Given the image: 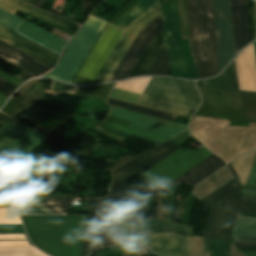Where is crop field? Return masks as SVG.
<instances>
[{
  "label": "crop field",
  "mask_w": 256,
  "mask_h": 256,
  "mask_svg": "<svg viewBox=\"0 0 256 256\" xmlns=\"http://www.w3.org/2000/svg\"><path fill=\"white\" fill-rule=\"evenodd\" d=\"M210 119L195 116L190 123L191 136L227 163L256 148V127L228 126L229 121Z\"/></svg>",
  "instance_id": "crop-field-1"
},
{
  "label": "crop field",
  "mask_w": 256,
  "mask_h": 256,
  "mask_svg": "<svg viewBox=\"0 0 256 256\" xmlns=\"http://www.w3.org/2000/svg\"><path fill=\"white\" fill-rule=\"evenodd\" d=\"M190 21L191 54L199 79L219 72L216 61L215 20L210 0H185Z\"/></svg>",
  "instance_id": "crop-field-2"
},
{
  "label": "crop field",
  "mask_w": 256,
  "mask_h": 256,
  "mask_svg": "<svg viewBox=\"0 0 256 256\" xmlns=\"http://www.w3.org/2000/svg\"><path fill=\"white\" fill-rule=\"evenodd\" d=\"M136 104L190 117L200 96L192 81L151 77Z\"/></svg>",
  "instance_id": "crop-field-3"
},
{
  "label": "crop field",
  "mask_w": 256,
  "mask_h": 256,
  "mask_svg": "<svg viewBox=\"0 0 256 256\" xmlns=\"http://www.w3.org/2000/svg\"><path fill=\"white\" fill-rule=\"evenodd\" d=\"M241 195L234 178L201 200L211 206L202 236L229 240Z\"/></svg>",
  "instance_id": "crop-field-4"
},
{
  "label": "crop field",
  "mask_w": 256,
  "mask_h": 256,
  "mask_svg": "<svg viewBox=\"0 0 256 256\" xmlns=\"http://www.w3.org/2000/svg\"><path fill=\"white\" fill-rule=\"evenodd\" d=\"M164 41L174 76L198 79L190 54L189 40L180 39L179 18L176 0L160 6Z\"/></svg>",
  "instance_id": "crop-field-5"
},
{
  "label": "crop field",
  "mask_w": 256,
  "mask_h": 256,
  "mask_svg": "<svg viewBox=\"0 0 256 256\" xmlns=\"http://www.w3.org/2000/svg\"><path fill=\"white\" fill-rule=\"evenodd\" d=\"M105 25L106 22L90 16L86 24L72 37L58 65L43 77L70 83Z\"/></svg>",
  "instance_id": "crop-field-6"
},
{
  "label": "crop field",
  "mask_w": 256,
  "mask_h": 256,
  "mask_svg": "<svg viewBox=\"0 0 256 256\" xmlns=\"http://www.w3.org/2000/svg\"><path fill=\"white\" fill-rule=\"evenodd\" d=\"M211 154L205 149H179L143 174L146 179L162 188Z\"/></svg>",
  "instance_id": "crop-field-7"
},
{
  "label": "crop field",
  "mask_w": 256,
  "mask_h": 256,
  "mask_svg": "<svg viewBox=\"0 0 256 256\" xmlns=\"http://www.w3.org/2000/svg\"><path fill=\"white\" fill-rule=\"evenodd\" d=\"M196 85L203 98L202 106L242 109V121L256 122V92L209 87L205 80Z\"/></svg>",
  "instance_id": "crop-field-8"
},
{
  "label": "crop field",
  "mask_w": 256,
  "mask_h": 256,
  "mask_svg": "<svg viewBox=\"0 0 256 256\" xmlns=\"http://www.w3.org/2000/svg\"><path fill=\"white\" fill-rule=\"evenodd\" d=\"M160 15L159 5L156 3L131 26L124 30L102 68L93 80L92 84L109 81L118 64L127 52L136 35ZM157 19V18H156Z\"/></svg>",
  "instance_id": "crop-field-9"
},
{
  "label": "crop field",
  "mask_w": 256,
  "mask_h": 256,
  "mask_svg": "<svg viewBox=\"0 0 256 256\" xmlns=\"http://www.w3.org/2000/svg\"><path fill=\"white\" fill-rule=\"evenodd\" d=\"M123 203L98 201L88 254L114 245Z\"/></svg>",
  "instance_id": "crop-field-10"
},
{
  "label": "crop field",
  "mask_w": 256,
  "mask_h": 256,
  "mask_svg": "<svg viewBox=\"0 0 256 256\" xmlns=\"http://www.w3.org/2000/svg\"><path fill=\"white\" fill-rule=\"evenodd\" d=\"M216 20V46L219 70L234 57L233 27L229 0H211Z\"/></svg>",
  "instance_id": "crop-field-11"
},
{
  "label": "crop field",
  "mask_w": 256,
  "mask_h": 256,
  "mask_svg": "<svg viewBox=\"0 0 256 256\" xmlns=\"http://www.w3.org/2000/svg\"><path fill=\"white\" fill-rule=\"evenodd\" d=\"M191 240L192 237L190 236L178 235L165 231H141L135 233L133 243L150 246L151 249L178 256H188ZM155 250H151V252L161 256H174Z\"/></svg>",
  "instance_id": "crop-field-12"
},
{
  "label": "crop field",
  "mask_w": 256,
  "mask_h": 256,
  "mask_svg": "<svg viewBox=\"0 0 256 256\" xmlns=\"http://www.w3.org/2000/svg\"><path fill=\"white\" fill-rule=\"evenodd\" d=\"M177 148L170 142L166 141L157 147L135 157L134 159L126 162L118 169L112 172L113 181L119 183H127L132 178L140 175L174 151Z\"/></svg>",
  "instance_id": "crop-field-13"
},
{
  "label": "crop field",
  "mask_w": 256,
  "mask_h": 256,
  "mask_svg": "<svg viewBox=\"0 0 256 256\" xmlns=\"http://www.w3.org/2000/svg\"><path fill=\"white\" fill-rule=\"evenodd\" d=\"M46 170L48 169L30 152L0 171V173L14 181L23 192H26L39 184V175Z\"/></svg>",
  "instance_id": "crop-field-14"
},
{
  "label": "crop field",
  "mask_w": 256,
  "mask_h": 256,
  "mask_svg": "<svg viewBox=\"0 0 256 256\" xmlns=\"http://www.w3.org/2000/svg\"><path fill=\"white\" fill-rule=\"evenodd\" d=\"M162 30L160 16L140 32L123 60L119 64L110 81L127 78L136 61L140 57L149 40Z\"/></svg>",
  "instance_id": "crop-field-15"
},
{
  "label": "crop field",
  "mask_w": 256,
  "mask_h": 256,
  "mask_svg": "<svg viewBox=\"0 0 256 256\" xmlns=\"http://www.w3.org/2000/svg\"><path fill=\"white\" fill-rule=\"evenodd\" d=\"M245 4H246V10H247V15L249 20L251 37L253 40V0H245ZM245 4H244V0H230L232 17H233L235 49L239 48L245 42L251 40L248 21H247V15L245 10ZM247 43H245L239 49L235 50V55Z\"/></svg>",
  "instance_id": "crop-field-16"
},
{
  "label": "crop field",
  "mask_w": 256,
  "mask_h": 256,
  "mask_svg": "<svg viewBox=\"0 0 256 256\" xmlns=\"http://www.w3.org/2000/svg\"><path fill=\"white\" fill-rule=\"evenodd\" d=\"M0 40L12 45L42 63L53 67L59 55L28 40L27 38L0 26Z\"/></svg>",
  "instance_id": "crop-field-17"
},
{
  "label": "crop field",
  "mask_w": 256,
  "mask_h": 256,
  "mask_svg": "<svg viewBox=\"0 0 256 256\" xmlns=\"http://www.w3.org/2000/svg\"><path fill=\"white\" fill-rule=\"evenodd\" d=\"M46 140L44 135L32 129L0 149V170Z\"/></svg>",
  "instance_id": "crop-field-18"
},
{
  "label": "crop field",
  "mask_w": 256,
  "mask_h": 256,
  "mask_svg": "<svg viewBox=\"0 0 256 256\" xmlns=\"http://www.w3.org/2000/svg\"><path fill=\"white\" fill-rule=\"evenodd\" d=\"M109 115L128 121V122H132V123H136L146 127L168 132L174 135L187 129L186 125H182V124H178V123H174V122H170V121H166V120H162V119H158V118H154V117H150V116H146V115H142V114H138V113H134V112H130V111L114 108V107L112 108Z\"/></svg>",
  "instance_id": "crop-field-19"
},
{
  "label": "crop field",
  "mask_w": 256,
  "mask_h": 256,
  "mask_svg": "<svg viewBox=\"0 0 256 256\" xmlns=\"http://www.w3.org/2000/svg\"><path fill=\"white\" fill-rule=\"evenodd\" d=\"M0 58L34 76L42 75L51 70V68L41 64L40 62L1 41Z\"/></svg>",
  "instance_id": "crop-field-20"
},
{
  "label": "crop field",
  "mask_w": 256,
  "mask_h": 256,
  "mask_svg": "<svg viewBox=\"0 0 256 256\" xmlns=\"http://www.w3.org/2000/svg\"><path fill=\"white\" fill-rule=\"evenodd\" d=\"M15 32L29 38L30 40L44 46L45 48L59 55L64 45L67 43L27 21Z\"/></svg>",
  "instance_id": "crop-field-21"
},
{
  "label": "crop field",
  "mask_w": 256,
  "mask_h": 256,
  "mask_svg": "<svg viewBox=\"0 0 256 256\" xmlns=\"http://www.w3.org/2000/svg\"><path fill=\"white\" fill-rule=\"evenodd\" d=\"M0 8L3 10H6L8 12H11L13 14H14L15 10L18 9L20 11H23V12L31 14L33 16L39 17L41 19L62 25L64 27H67L74 31H76L78 29L76 23H74V22H71L69 20L55 16L53 14L47 13L45 11L39 10L35 7L27 5L18 0H0Z\"/></svg>",
  "instance_id": "crop-field-22"
},
{
  "label": "crop field",
  "mask_w": 256,
  "mask_h": 256,
  "mask_svg": "<svg viewBox=\"0 0 256 256\" xmlns=\"http://www.w3.org/2000/svg\"><path fill=\"white\" fill-rule=\"evenodd\" d=\"M223 165L225 164L219 158L212 155L203 162H201L200 164H198L197 166H195L194 168H192L191 170H189L188 172L186 171L187 173H183L184 175H180L181 177H177L178 179H174L175 181H171L172 183L168 184L172 185L175 183L185 181L191 185H194L203 178H205L206 176H208L209 174H211L212 172H214L215 170L222 167Z\"/></svg>",
  "instance_id": "crop-field-23"
},
{
  "label": "crop field",
  "mask_w": 256,
  "mask_h": 256,
  "mask_svg": "<svg viewBox=\"0 0 256 256\" xmlns=\"http://www.w3.org/2000/svg\"><path fill=\"white\" fill-rule=\"evenodd\" d=\"M163 45L164 43L162 41V35L160 32L150 40L149 44L145 48L136 65L134 66L133 70L129 74L128 78L146 75L147 71L151 67Z\"/></svg>",
  "instance_id": "crop-field-24"
},
{
  "label": "crop field",
  "mask_w": 256,
  "mask_h": 256,
  "mask_svg": "<svg viewBox=\"0 0 256 256\" xmlns=\"http://www.w3.org/2000/svg\"><path fill=\"white\" fill-rule=\"evenodd\" d=\"M233 177L230 169L225 166L220 169L218 172L204 180L202 183H198L199 185L193 190L192 194L195 195L199 200L219 188Z\"/></svg>",
  "instance_id": "crop-field-25"
},
{
  "label": "crop field",
  "mask_w": 256,
  "mask_h": 256,
  "mask_svg": "<svg viewBox=\"0 0 256 256\" xmlns=\"http://www.w3.org/2000/svg\"><path fill=\"white\" fill-rule=\"evenodd\" d=\"M256 155V150L245 155L237 157L231 164V167L236 174L240 184H245L252 168L253 160Z\"/></svg>",
  "instance_id": "crop-field-26"
},
{
  "label": "crop field",
  "mask_w": 256,
  "mask_h": 256,
  "mask_svg": "<svg viewBox=\"0 0 256 256\" xmlns=\"http://www.w3.org/2000/svg\"><path fill=\"white\" fill-rule=\"evenodd\" d=\"M31 127L26 126L18 121L10 120L0 127V148L8 144Z\"/></svg>",
  "instance_id": "crop-field-27"
},
{
  "label": "crop field",
  "mask_w": 256,
  "mask_h": 256,
  "mask_svg": "<svg viewBox=\"0 0 256 256\" xmlns=\"http://www.w3.org/2000/svg\"><path fill=\"white\" fill-rule=\"evenodd\" d=\"M73 199H45L43 202L57 214H64V204ZM38 203L23 214H56L42 203Z\"/></svg>",
  "instance_id": "crop-field-28"
},
{
  "label": "crop field",
  "mask_w": 256,
  "mask_h": 256,
  "mask_svg": "<svg viewBox=\"0 0 256 256\" xmlns=\"http://www.w3.org/2000/svg\"><path fill=\"white\" fill-rule=\"evenodd\" d=\"M142 229H165L187 235L193 234L194 228L172 224L166 221H138L136 230Z\"/></svg>",
  "instance_id": "crop-field-29"
},
{
  "label": "crop field",
  "mask_w": 256,
  "mask_h": 256,
  "mask_svg": "<svg viewBox=\"0 0 256 256\" xmlns=\"http://www.w3.org/2000/svg\"><path fill=\"white\" fill-rule=\"evenodd\" d=\"M206 84L238 90L234 61L218 77L206 80Z\"/></svg>",
  "instance_id": "crop-field-30"
},
{
  "label": "crop field",
  "mask_w": 256,
  "mask_h": 256,
  "mask_svg": "<svg viewBox=\"0 0 256 256\" xmlns=\"http://www.w3.org/2000/svg\"><path fill=\"white\" fill-rule=\"evenodd\" d=\"M106 101L108 102V104H110L112 106H115V107L131 110V111H135V112H139V113H143V114H146V115H150V116H154V117H158V118H162V119H166V120H170V121H172L173 118L175 117L174 115H170V114H166V113H162V112L142 108V107H139V106L124 103V102L117 101V100L110 99V98H108Z\"/></svg>",
  "instance_id": "crop-field-31"
},
{
  "label": "crop field",
  "mask_w": 256,
  "mask_h": 256,
  "mask_svg": "<svg viewBox=\"0 0 256 256\" xmlns=\"http://www.w3.org/2000/svg\"><path fill=\"white\" fill-rule=\"evenodd\" d=\"M145 191L113 182L108 198H134L144 195Z\"/></svg>",
  "instance_id": "crop-field-32"
},
{
  "label": "crop field",
  "mask_w": 256,
  "mask_h": 256,
  "mask_svg": "<svg viewBox=\"0 0 256 256\" xmlns=\"http://www.w3.org/2000/svg\"><path fill=\"white\" fill-rule=\"evenodd\" d=\"M234 235H256V218L237 217L233 227Z\"/></svg>",
  "instance_id": "crop-field-33"
},
{
  "label": "crop field",
  "mask_w": 256,
  "mask_h": 256,
  "mask_svg": "<svg viewBox=\"0 0 256 256\" xmlns=\"http://www.w3.org/2000/svg\"><path fill=\"white\" fill-rule=\"evenodd\" d=\"M0 256H47L34 247H0Z\"/></svg>",
  "instance_id": "crop-field-34"
},
{
  "label": "crop field",
  "mask_w": 256,
  "mask_h": 256,
  "mask_svg": "<svg viewBox=\"0 0 256 256\" xmlns=\"http://www.w3.org/2000/svg\"><path fill=\"white\" fill-rule=\"evenodd\" d=\"M169 68L170 66L164 46L147 75H166Z\"/></svg>",
  "instance_id": "crop-field-35"
},
{
  "label": "crop field",
  "mask_w": 256,
  "mask_h": 256,
  "mask_svg": "<svg viewBox=\"0 0 256 256\" xmlns=\"http://www.w3.org/2000/svg\"><path fill=\"white\" fill-rule=\"evenodd\" d=\"M135 223L136 221L130 222L121 220L116 245L123 243H132Z\"/></svg>",
  "instance_id": "crop-field-36"
},
{
  "label": "crop field",
  "mask_w": 256,
  "mask_h": 256,
  "mask_svg": "<svg viewBox=\"0 0 256 256\" xmlns=\"http://www.w3.org/2000/svg\"><path fill=\"white\" fill-rule=\"evenodd\" d=\"M47 197L35 187L24 193L22 203L20 205V212L23 213L42 199Z\"/></svg>",
  "instance_id": "crop-field-37"
},
{
  "label": "crop field",
  "mask_w": 256,
  "mask_h": 256,
  "mask_svg": "<svg viewBox=\"0 0 256 256\" xmlns=\"http://www.w3.org/2000/svg\"><path fill=\"white\" fill-rule=\"evenodd\" d=\"M157 1L161 5L170 0H157ZM177 2H178V10H179V18H180L181 37L189 39V21L186 13L184 0H177Z\"/></svg>",
  "instance_id": "crop-field-38"
},
{
  "label": "crop field",
  "mask_w": 256,
  "mask_h": 256,
  "mask_svg": "<svg viewBox=\"0 0 256 256\" xmlns=\"http://www.w3.org/2000/svg\"><path fill=\"white\" fill-rule=\"evenodd\" d=\"M98 199H92L91 209L80 256H86Z\"/></svg>",
  "instance_id": "crop-field-39"
},
{
  "label": "crop field",
  "mask_w": 256,
  "mask_h": 256,
  "mask_svg": "<svg viewBox=\"0 0 256 256\" xmlns=\"http://www.w3.org/2000/svg\"><path fill=\"white\" fill-rule=\"evenodd\" d=\"M23 21L24 19L18 16L0 10V25L4 27L14 30L19 27Z\"/></svg>",
  "instance_id": "crop-field-40"
},
{
  "label": "crop field",
  "mask_w": 256,
  "mask_h": 256,
  "mask_svg": "<svg viewBox=\"0 0 256 256\" xmlns=\"http://www.w3.org/2000/svg\"><path fill=\"white\" fill-rule=\"evenodd\" d=\"M0 224H21L17 208H0Z\"/></svg>",
  "instance_id": "crop-field-41"
},
{
  "label": "crop field",
  "mask_w": 256,
  "mask_h": 256,
  "mask_svg": "<svg viewBox=\"0 0 256 256\" xmlns=\"http://www.w3.org/2000/svg\"><path fill=\"white\" fill-rule=\"evenodd\" d=\"M101 125H105V126H109V127H112V128L119 129V130L127 131V132H130V133H133V134H137V135H140V136H143V137H146V138H150V139H154V140H157V141H161V142H164V141L167 140V139H164V138L152 135V134H148V133H145V132H142V131H138V130H135V129H132V128H128V127H125V126H122V125H118V124H114V123H110V122H106V121L101 123Z\"/></svg>",
  "instance_id": "crop-field-42"
},
{
  "label": "crop field",
  "mask_w": 256,
  "mask_h": 256,
  "mask_svg": "<svg viewBox=\"0 0 256 256\" xmlns=\"http://www.w3.org/2000/svg\"><path fill=\"white\" fill-rule=\"evenodd\" d=\"M109 97L135 104L136 100L139 97V94L113 88Z\"/></svg>",
  "instance_id": "crop-field-43"
},
{
  "label": "crop field",
  "mask_w": 256,
  "mask_h": 256,
  "mask_svg": "<svg viewBox=\"0 0 256 256\" xmlns=\"http://www.w3.org/2000/svg\"><path fill=\"white\" fill-rule=\"evenodd\" d=\"M239 211L256 213V199L242 198Z\"/></svg>",
  "instance_id": "crop-field-44"
},
{
  "label": "crop field",
  "mask_w": 256,
  "mask_h": 256,
  "mask_svg": "<svg viewBox=\"0 0 256 256\" xmlns=\"http://www.w3.org/2000/svg\"><path fill=\"white\" fill-rule=\"evenodd\" d=\"M51 89L61 93H69V94H75V92L78 90L77 87L61 84L54 81L52 83Z\"/></svg>",
  "instance_id": "crop-field-45"
},
{
  "label": "crop field",
  "mask_w": 256,
  "mask_h": 256,
  "mask_svg": "<svg viewBox=\"0 0 256 256\" xmlns=\"http://www.w3.org/2000/svg\"><path fill=\"white\" fill-rule=\"evenodd\" d=\"M227 241L215 240L212 256H227L224 254Z\"/></svg>",
  "instance_id": "crop-field-46"
},
{
  "label": "crop field",
  "mask_w": 256,
  "mask_h": 256,
  "mask_svg": "<svg viewBox=\"0 0 256 256\" xmlns=\"http://www.w3.org/2000/svg\"><path fill=\"white\" fill-rule=\"evenodd\" d=\"M0 233H25L22 225H0Z\"/></svg>",
  "instance_id": "crop-field-47"
},
{
  "label": "crop field",
  "mask_w": 256,
  "mask_h": 256,
  "mask_svg": "<svg viewBox=\"0 0 256 256\" xmlns=\"http://www.w3.org/2000/svg\"><path fill=\"white\" fill-rule=\"evenodd\" d=\"M213 242L214 240L212 239H203L200 256H211Z\"/></svg>",
  "instance_id": "crop-field-48"
},
{
  "label": "crop field",
  "mask_w": 256,
  "mask_h": 256,
  "mask_svg": "<svg viewBox=\"0 0 256 256\" xmlns=\"http://www.w3.org/2000/svg\"><path fill=\"white\" fill-rule=\"evenodd\" d=\"M17 88V86L0 78V93L9 97V95Z\"/></svg>",
  "instance_id": "crop-field-49"
},
{
  "label": "crop field",
  "mask_w": 256,
  "mask_h": 256,
  "mask_svg": "<svg viewBox=\"0 0 256 256\" xmlns=\"http://www.w3.org/2000/svg\"><path fill=\"white\" fill-rule=\"evenodd\" d=\"M0 191H19L10 181L0 176Z\"/></svg>",
  "instance_id": "crop-field-50"
},
{
  "label": "crop field",
  "mask_w": 256,
  "mask_h": 256,
  "mask_svg": "<svg viewBox=\"0 0 256 256\" xmlns=\"http://www.w3.org/2000/svg\"><path fill=\"white\" fill-rule=\"evenodd\" d=\"M0 77L18 85V86L21 85L24 82V81L16 78L15 76H13V75H11V74H9V73L1 70V69H0Z\"/></svg>",
  "instance_id": "crop-field-51"
},
{
  "label": "crop field",
  "mask_w": 256,
  "mask_h": 256,
  "mask_svg": "<svg viewBox=\"0 0 256 256\" xmlns=\"http://www.w3.org/2000/svg\"><path fill=\"white\" fill-rule=\"evenodd\" d=\"M129 127L137 128V129L144 130V131H148V132L155 133V134L165 136V137H168V138L173 136V135H170V134H166V133H163V132H160V131H157V130H153V129H150V128H146V127L131 124V123H130Z\"/></svg>",
  "instance_id": "crop-field-52"
},
{
  "label": "crop field",
  "mask_w": 256,
  "mask_h": 256,
  "mask_svg": "<svg viewBox=\"0 0 256 256\" xmlns=\"http://www.w3.org/2000/svg\"><path fill=\"white\" fill-rule=\"evenodd\" d=\"M256 181V160L255 163L253 165V168L251 170V173L249 175L248 181H247V185H254Z\"/></svg>",
  "instance_id": "crop-field-53"
},
{
  "label": "crop field",
  "mask_w": 256,
  "mask_h": 256,
  "mask_svg": "<svg viewBox=\"0 0 256 256\" xmlns=\"http://www.w3.org/2000/svg\"><path fill=\"white\" fill-rule=\"evenodd\" d=\"M233 241H255L256 237L253 236H234Z\"/></svg>",
  "instance_id": "crop-field-54"
},
{
  "label": "crop field",
  "mask_w": 256,
  "mask_h": 256,
  "mask_svg": "<svg viewBox=\"0 0 256 256\" xmlns=\"http://www.w3.org/2000/svg\"><path fill=\"white\" fill-rule=\"evenodd\" d=\"M130 158H132L130 155L127 156L126 158H124L123 160H121L120 162H118L117 164H115L114 166H112L111 168H109V171L114 170L115 168H117L118 166H120L121 164L125 163L126 161H128Z\"/></svg>",
  "instance_id": "crop-field-55"
},
{
  "label": "crop field",
  "mask_w": 256,
  "mask_h": 256,
  "mask_svg": "<svg viewBox=\"0 0 256 256\" xmlns=\"http://www.w3.org/2000/svg\"><path fill=\"white\" fill-rule=\"evenodd\" d=\"M235 246H256L255 242H233Z\"/></svg>",
  "instance_id": "crop-field-56"
},
{
  "label": "crop field",
  "mask_w": 256,
  "mask_h": 256,
  "mask_svg": "<svg viewBox=\"0 0 256 256\" xmlns=\"http://www.w3.org/2000/svg\"><path fill=\"white\" fill-rule=\"evenodd\" d=\"M229 256H243L241 253H239L236 250V248L233 246L232 242H231V249H230Z\"/></svg>",
  "instance_id": "crop-field-57"
},
{
  "label": "crop field",
  "mask_w": 256,
  "mask_h": 256,
  "mask_svg": "<svg viewBox=\"0 0 256 256\" xmlns=\"http://www.w3.org/2000/svg\"><path fill=\"white\" fill-rule=\"evenodd\" d=\"M10 119H12V118H10V117H8V116H6V115H1L0 116V126L2 125V124H4L5 122H7L8 120H10Z\"/></svg>",
  "instance_id": "crop-field-58"
},
{
  "label": "crop field",
  "mask_w": 256,
  "mask_h": 256,
  "mask_svg": "<svg viewBox=\"0 0 256 256\" xmlns=\"http://www.w3.org/2000/svg\"><path fill=\"white\" fill-rule=\"evenodd\" d=\"M254 38H256V2H254Z\"/></svg>",
  "instance_id": "crop-field-59"
},
{
  "label": "crop field",
  "mask_w": 256,
  "mask_h": 256,
  "mask_svg": "<svg viewBox=\"0 0 256 256\" xmlns=\"http://www.w3.org/2000/svg\"><path fill=\"white\" fill-rule=\"evenodd\" d=\"M237 216L256 217V214L239 212Z\"/></svg>",
  "instance_id": "crop-field-60"
},
{
  "label": "crop field",
  "mask_w": 256,
  "mask_h": 256,
  "mask_svg": "<svg viewBox=\"0 0 256 256\" xmlns=\"http://www.w3.org/2000/svg\"><path fill=\"white\" fill-rule=\"evenodd\" d=\"M43 2H44V0H37L34 6L41 9L42 5H43Z\"/></svg>",
  "instance_id": "crop-field-61"
},
{
  "label": "crop field",
  "mask_w": 256,
  "mask_h": 256,
  "mask_svg": "<svg viewBox=\"0 0 256 256\" xmlns=\"http://www.w3.org/2000/svg\"><path fill=\"white\" fill-rule=\"evenodd\" d=\"M245 256H256V252H247V251H240Z\"/></svg>",
  "instance_id": "crop-field-62"
},
{
  "label": "crop field",
  "mask_w": 256,
  "mask_h": 256,
  "mask_svg": "<svg viewBox=\"0 0 256 256\" xmlns=\"http://www.w3.org/2000/svg\"><path fill=\"white\" fill-rule=\"evenodd\" d=\"M22 72H23V71H22ZM22 72H21L20 74H18L17 77H19V78H21V79H23V80H25V79H27V78L30 77V76L24 74L25 72H24V73H22Z\"/></svg>",
  "instance_id": "crop-field-63"
},
{
  "label": "crop field",
  "mask_w": 256,
  "mask_h": 256,
  "mask_svg": "<svg viewBox=\"0 0 256 256\" xmlns=\"http://www.w3.org/2000/svg\"><path fill=\"white\" fill-rule=\"evenodd\" d=\"M7 98H8V97H6V96L0 94V107H1V105L5 102V100H6Z\"/></svg>",
  "instance_id": "crop-field-64"
},
{
  "label": "crop field",
  "mask_w": 256,
  "mask_h": 256,
  "mask_svg": "<svg viewBox=\"0 0 256 256\" xmlns=\"http://www.w3.org/2000/svg\"><path fill=\"white\" fill-rule=\"evenodd\" d=\"M23 1L33 6L36 0H23Z\"/></svg>",
  "instance_id": "crop-field-65"
},
{
  "label": "crop field",
  "mask_w": 256,
  "mask_h": 256,
  "mask_svg": "<svg viewBox=\"0 0 256 256\" xmlns=\"http://www.w3.org/2000/svg\"><path fill=\"white\" fill-rule=\"evenodd\" d=\"M27 239H4V240H27L29 245L32 246V244L29 242L27 235L25 234Z\"/></svg>",
  "instance_id": "crop-field-66"
},
{
  "label": "crop field",
  "mask_w": 256,
  "mask_h": 256,
  "mask_svg": "<svg viewBox=\"0 0 256 256\" xmlns=\"http://www.w3.org/2000/svg\"><path fill=\"white\" fill-rule=\"evenodd\" d=\"M243 193L256 194V191H252V190H243Z\"/></svg>",
  "instance_id": "crop-field-67"
},
{
  "label": "crop field",
  "mask_w": 256,
  "mask_h": 256,
  "mask_svg": "<svg viewBox=\"0 0 256 256\" xmlns=\"http://www.w3.org/2000/svg\"><path fill=\"white\" fill-rule=\"evenodd\" d=\"M254 48H255V58H256V42H254Z\"/></svg>",
  "instance_id": "crop-field-68"
},
{
  "label": "crop field",
  "mask_w": 256,
  "mask_h": 256,
  "mask_svg": "<svg viewBox=\"0 0 256 256\" xmlns=\"http://www.w3.org/2000/svg\"><path fill=\"white\" fill-rule=\"evenodd\" d=\"M2 113H0V115H1Z\"/></svg>",
  "instance_id": "crop-field-69"
},
{
  "label": "crop field",
  "mask_w": 256,
  "mask_h": 256,
  "mask_svg": "<svg viewBox=\"0 0 256 256\" xmlns=\"http://www.w3.org/2000/svg\"><path fill=\"white\" fill-rule=\"evenodd\" d=\"M22 1V0H21Z\"/></svg>",
  "instance_id": "crop-field-70"
}]
</instances>
